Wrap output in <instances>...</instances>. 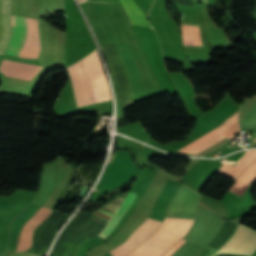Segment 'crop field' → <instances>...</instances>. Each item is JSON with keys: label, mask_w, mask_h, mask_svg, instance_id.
<instances>
[{"label": "crop field", "mask_w": 256, "mask_h": 256, "mask_svg": "<svg viewBox=\"0 0 256 256\" xmlns=\"http://www.w3.org/2000/svg\"><path fill=\"white\" fill-rule=\"evenodd\" d=\"M256 173V162L250 166L238 179L236 185L229 191V193L237 195V193L240 191V189L243 187V185L246 183V181Z\"/></svg>", "instance_id": "obj_11"}, {"label": "crop field", "mask_w": 256, "mask_h": 256, "mask_svg": "<svg viewBox=\"0 0 256 256\" xmlns=\"http://www.w3.org/2000/svg\"><path fill=\"white\" fill-rule=\"evenodd\" d=\"M11 19L13 25L12 15ZM39 51L38 21L28 17L14 16L12 38L5 54L36 59Z\"/></svg>", "instance_id": "obj_3"}, {"label": "crop field", "mask_w": 256, "mask_h": 256, "mask_svg": "<svg viewBox=\"0 0 256 256\" xmlns=\"http://www.w3.org/2000/svg\"><path fill=\"white\" fill-rule=\"evenodd\" d=\"M2 3L0 0V35L2 32ZM11 37L10 0H4L3 4V32L0 39V54L4 53L5 47Z\"/></svg>", "instance_id": "obj_7"}, {"label": "crop field", "mask_w": 256, "mask_h": 256, "mask_svg": "<svg viewBox=\"0 0 256 256\" xmlns=\"http://www.w3.org/2000/svg\"><path fill=\"white\" fill-rule=\"evenodd\" d=\"M134 195V192H130L127 198L125 199L123 205L121 208L118 210V212L115 214V216L112 218V220L108 223V225L104 228V230L99 234V236H103L107 233V231L110 229V227L113 225V223L116 221V219L119 217V215L122 213L126 205L129 203L131 200L132 196Z\"/></svg>", "instance_id": "obj_12"}, {"label": "crop field", "mask_w": 256, "mask_h": 256, "mask_svg": "<svg viewBox=\"0 0 256 256\" xmlns=\"http://www.w3.org/2000/svg\"><path fill=\"white\" fill-rule=\"evenodd\" d=\"M255 250L256 231L246 226L239 225L234 236L218 252L251 255Z\"/></svg>", "instance_id": "obj_5"}, {"label": "crop field", "mask_w": 256, "mask_h": 256, "mask_svg": "<svg viewBox=\"0 0 256 256\" xmlns=\"http://www.w3.org/2000/svg\"><path fill=\"white\" fill-rule=\"evenodd\" d=\"M126 13L134 24H139L143 26H150V23L146 15L141 11L137 4L133 0H120Z\"/></svg>", "instance_id": "obj_9"}, {"label": "crop field", "mask_w": 256, "mask_h": 256, "mask_svg": "<svg viewBox=\"0 0 256 256\" xmlns=\"http://www.w3.org/2000/svg\"><path fill=\"white\" fill-rule=\"evenodd\" d=\"M194 220L166 218L159 229L127 256H161L181 239Z\"/></svg>", "instance_id": "obj_2"}, {"label": "crop field", "mask_w": 256, "mask_h": 256, "mask_svg": "<svg viewBox=\"0 0 256 256\" xmlns=\"http://www.w3.org/2000/svg\"><path fill=\"white\" fill-rule=\"evenodd\" d=\"M238 120V111L232 116L230 117L228 120L225 121V123L218 127V129L223 133L226 129H228L234 122H236ZM217 128L213 131H211L210 133L206 134L205 136L201 137L200 139L196 140L195 142L191 143L190 145L182 148L181 150L179 151H182V152H186L192 148H194L195 146L203 143L204 141L212 138L213 136L221 133ZM240 127H239V124H238V121L233 124L227 131H225L223 134L226 135L228 138L233 135L237 130H239ZM239 132V131H238ZM238 132H236L232 137H234ZM219 134L215 137H213L212 139L204 142L203 144L195 147L194 149L188 151L187 153H191V154H196L204 149H206L207 147L215 144L216 142L226 138L223 134ZM230 137V138H232ZM229 138V139H230Z\"/></svg>", "instance_id": "obj_4"}, {"label": "crop field", "mask_w": 256, "mask_h": 256, "mask_svg": "<svg viewBox=\"0 0 256 256\" xmlns=\"http://www.w3.org/2000/svg\"><path fill=\"white\" fill-rule=\"evenodd\" d=\"M184 44H200L198 26L181 25Z\"/></svg>", "instance_id": "obj_10"}, {"label": "crop field", "mask_w": 256, "mask_h": 256, "mask_svg": "<svg viewBox=\"0 0 256 256\" xmlns=\"http://www.w3.org/2000/svg\"><path fill=\"white\" fill-rule=\"evenodd\" d=\"M85 1V0H78V2Z\"/></svg>", "instance_id": "obj_13"}, {"label": "crop field", "mask_w": 256, "mask_h": 256, "mask_svg": "<svg viewBox=\"0 0 256 256\" xmlns=\"http://www.w3.org/2000/svg\"><path fill=\"white\" fill-rule=\"evenodd\" d=\"M83 60L91 84L94 88L96 103L109 100V89L100 62L98 60L96 50L85 57ZM83 60H80L67 67L71 76L78 107L95 103L93 88L90 84Z\"/></svg>", "instance_id": "obj_1"}, {"label": "crop field", "mask_w": 256, "mask_h": 256, "mask_svg": "<svg viewBox=\"0 0 256 256\" xmlns=\"http://www.w3.org/2000/svg\"><path fill=\"white\" fill-rule=\"evenodd\" d=\"M160 224V221L148 218L147 221L132 234V236L130 235L131 237L124 244L110 251L111 254L113 256H126L143 240L149 237Z\"/></svg>", "instance_id": "obj_6"}, {"label": "crop field", "mask_w": 256, "mask_h": 256, "mask_svg": "<svg viewBox=\"0 0 256 256\" xmlns=\"http://www.w3.org/2000/svg\"><path fill=\"white\" fill-rule=\"evenodd\" d=\"M256 160V150L248 151L235 167L222 165L218 173L223 174L233 180H236L242 171Z\"/></svg>", "instance_id": "obj_8"}]
</instances>
